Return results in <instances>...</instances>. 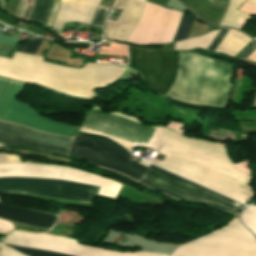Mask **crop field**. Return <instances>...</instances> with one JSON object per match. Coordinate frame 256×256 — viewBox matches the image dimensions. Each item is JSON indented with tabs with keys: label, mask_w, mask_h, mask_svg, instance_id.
<instances>
[{
	"label": "crop field",
	"mask_w": 256,
	"mask_h": 256,
	"mask_svg": "<svg viewBox=\"0 0 256 256\" xmlns=\"http://www.w3.org/2000/svg\"><path fill=\"white\" fill-rule=\"evenodd\" d=\"M83 126L104 130L116 136L132 141L136 143V145L147 147L157 130V128L142 127L137 121L124 118L119 115L103 114L96 107L88 116ZM85 127H82L81 131L105 135L106 137L118 142L131 152L134 143L104 131ZM164 135L168 136V140L181 143L233 166L230 163L223 146L183 137L176 134L170 128H158L155 136L163 138ZM156 137H153L152 141L160 143L161 139ZM168 140L165 145L172 146L247 179V173L239 171L203 153ZM153 142L150 143L149 148L156 150L158 144ZM165 145L159 150V153L165 155L166 157L163 158L162 161L154 159L151 161L152 163L214 191L231 197L241 203L251 197V192L246 184V179Z\"/></svg>",
	"instance_id": "crop-field-1"
},
{
	"label": "crop field",
	"mask_w": 256,
	"mask_h": 256,
	"mask_svg": "<svg viewBox=\"0 0 256 256\" xmlns=\"http://www.w3.org/2000/svg\"><path fill=\"white\" fill-rule=\"evenodd\" d=\"M129 67L140 72L157 91L174 97L186 52L129 47ZM231 88V66L195 53H186L175 99L224 107Z\"/></svg>",
	"instance_id": "crop-field-2"
},
{
	"label": "crop field",
	"mask_w": 256,
	"mask_h": 256,
	"mask_svg": "<svg viewBox=\"0 0 256 256\" xmlns=\"http://www.w3.org/2000/svg\"><path fill=\"white\" fill-rule=\"evenodd\" d=\"M70 155L85 158L99 166L114 169L132 179L146 183L177 198L215 206L234 214L242 204L201 186L186 181L143 161L136 163L132 155L118 144L101 136L77 132ZM76 157V158H77Z\"/></svg>",
	"instance_id": "crop-field-3"
},
{
	"label": "crop field",
	"mask_w": 256,
	"mask_h": 256,
	"mask_svg": "<svg viewBox=\"0 0 256 256\" xmlns=\"http://www.w3.org/2000/svg\"><path fill=\"white\" fill-rule=\"evenodd\" d=\"M124 70L98 64H85L82 69L63 68L44 63L40 57L16 52L12 59L0 57V76L83 98H92L96 89L116 80Z\"/></svg>",
	"instance_id": "crop-field-4"
},
{
	"label": "crop field",
	"mask_w": 256,
	"mask_h": 256,
	"mask_svg": "<svg viewBox=\"0 0 256 256\" xmlns=\"http://www.w3.org/2000/svg\"><path fill=\"white\" fill-rule=\"evenodd\" d=\"M170 256H256V240L232 218L227 226L179 246Z\"/></svg>",
	"instance_id": "crop-field-5"
},
{
	"label": "crop field",
	"mask_w": 256,
	"mask_h": 256,
	"mask_svg": "<svg viewBox=\"0 0 256 256\" xmlns=\"http://www.w3.org/2000/svg\"><path fill=\"white\" fill-rule=\"evenodd\" d=\"M8 238L2 243L5 245L21 246L29 248L48 249L76 256H165L150 253H123L105 249H99L76 241L56 235L32 234L14 230L9 233ZM9 246L27 256H71L48 250L28 249Z\"/></svg>",
	"instance_id": "crop-field-6"
},
{
	"label": "crop field",
	"mask_w": 256,
	"mask_h": 256,
	"mask_svg": "<svg viewBox=\"0 0 256 256\" xmlns=\"http://www.w3.org/2000/svg\"><path fill=\"white\" fill-rule=\"evenodd\" d=\"M0 177L54 179L99 186L98 195L116 198L120 184L102 177L62 166L27 163L0 164Z\"/></svg>",
	"instance_id": "crop-field-7"
},
{
	"label": "crop field",
	"mask_w": 256,
	"mask_h": 256,
	"mask_svg": "<svg viewBox=\"0 0 256 256\" xmlns=\"http://www.w3.org/2000/svg\"><path fill=\"white\" fill-rule=\"evenodd\" d=\"M25 83L0 77V118L74 137L77 127L53 123L16 99Z\"/></svg>",
	"instance_id": "crop-field-8"
},
{
	"label": "crop field",
	"mask_w": 256,
	"mask_h": 256,
	"mask_svg": "<svg viewBox=\"0 0 256 256\" xmlns=\"http://www.w3.org/2000/svg\"><path fill=\"white\" fill-rule=\"evenodd\" d=\"M0 132L16 135L20 137H25L29 139H34L38 141H43L47 143H52L60 146H65L69 148H71L72 142L74 140L72 138L36 131L24 126L12 124V123L1 121V120H0ZM3 133H0V143L2 144L44 150V151L62 154L66 156H68L70 152L69 148L51 145V144L29 140L25 138H20L16 136H11ZM17 161H20V158L15 154L0 153V162H17Z\"/></svg>",
	"instance_id": "crop-field-9"
},
{
	"label": "crop field",
	"mask_w": 256,
	"mask_h": 256,
	"mask_svg": "<svg viewBox=\"0 0 256 256\" xmlns=\"http://www.w3.org/2000/svg\"><path fill=\"white\" fill-rule=\"evenodd\" d=\"M96 187L42 179L0 178V192L52 196L90 202Z\"/></svg>",
	"instance_id": "crop-field-10"
},
{
	"label": "crop field",
	"mask_w": 256,
	"mask_h": 256,
	"mask_svg": "<svg viewBox=\"0 0 256 256\" xmlns=\"http://www.w3.org/2000/svg\"><path fill=\"white\" fill-rule=\"evenodd\" d=\"M145 0H120L116 10H122L117 21L107 22L106 37L126 41L143 11Z\"/></svg>",
	"instance_id": "crop-field-11"
},
{
	"label": "crop field",
	"mask_w": 256,
	"mask_h": 256,
	"mask_svg": "<svg viewBox=\"0 0 256 256\" xmlns=\"http://www.w3.org/2000/svg\"><path fill=\"white\" fill-rule=\"evenodd\" d=\"M100 0H61L52 27L60 30L63 23L77 21L89 23Z\"/></svg>",
	"instance_id": "crop-field-12"
},
{
	"label": "crop field",
	"mask_w": 256,
	"mask_h": 256,
	"mask_svg": "<svg viewBox=\"0 0 256 256\" xmlns=\"http://www.w3.org/2000/svg\"><path fill=\"white\" fill-rule=\"evenodd\" d=\"M0 210L9 212V213H13V214H17V215H21V216H25V217H30V218H34V219H38V220L51 222V223H53L57 217L55 215H51V214H47V213L36 212V211H31V210H26V209H21V208H15V207L5 206V205H1V204H0ZM2 211H0V218H4V219H7V220H10L13 222L43 227V228H47V229H49L52 226L51 223L38 221V220L30 219V218H25V217L13 215V214L5 213Z\"/></svg>",
	"instance_id": "crop-field-13"
},
{
	"label": "crop field",
	"mask_w": 256,
	"mask_h": 256,
	"mask_svg": "<svg viewBox=\"0 0 256 256\" xmlns=\"http://www.w3.org/2000/svg\"><path fill=\"white\" fill-rule=\"evenodd\" d=\"M251 40L252 39H250L248 36L238 31L229 29L225 38L222 40V42L217 46V48L214 51L224 53L233 57Z\"/></svg>",
	"instance_id": "crop-field-14"
},
{
	"label": "crop field",
	"mask_w": 256,
	"mask_h": 256,
	"mask_svg": "<svg viewBox=\"0 0 256 256\" xmlns=\"http://www.w3.org/2000/svg\"><path fill=\"white\" fill-rule=\"evenodd\" d=\"M244 0H230L228 9L220 25L232 26L239 29L243 21L249 16L235 11Z\"/></svg>",
	"instance_id": "crop-field-15"
},
{
	"label": "crop field",
	"mask_w": 256,
	"mask_h": 256,
	"mask_svg": "<svg viewBox=\"0 0 256 256\" xmlns=\"http://www.w3.org/2000/svg\"><path fill=\"white\" fill-rule=\"evenodd\" d=\"M217 33H218V30L209 32L208 34L200 37L177 42L174 46V50H190L194 47L207 49V47L213 41Z\"/></svg>",
	"instance_id": "crop-field-16"
},
{
	"label": "crop field",
	"mask_w": 256,
	"mask_h": 256,
	"mask_svg": "<svg viewBox=\"0 0 256 256\" xmlns=\"http://www.w3.org/2000/svg\"><path fill=\"white\" fill-rule=\"evenodd\" d=\"M52 0H35L27 20L39 21L45 24Z\"/></svg>",
	"instance_id": "crop-field-17"
},
{
	"label": "crop field",
	"mask_w": 256,
	"mask_h": 256,
	"mask_svg": "<svg viewBox=\"0 0 256 256\" xmlns=\"http://www.w3.org/2000/svg\"><path fill=\"white\" fill-rule=\"evenodd\" d=\"M193 21L194 19L183 14L182 21L174 41L186 39L188 37Z\"/></svg>",
	"instance_id": "crop-field-18"
},
{
	"label": "crop field",
	"mask_w": 256,
	"mask_h": 256,
	"mask_svg": "<svg viewBox=\"0 0 256 256\" xmlns=\"http://www.w3.org/2000/svg\"><path fill=\"white\" fill-rule=\"evenodd\" d=\"M109 9L108 8H104V7H98L90 25L92 26H97V27H101L103 26V22L105 20V17L108 13Z\"/></svg>",
	"instance_id": "crop-field-19"
},
{
	"label": "crop field",
	"mask_w": 256,
	"mask_h": 256,
	"mask_svg": "<svg viewBox=\"0 0 256 256\" xmlns=\"http://www.w3.org/2000/svg\"><path fill=\"white\" fill-rule=\"evenodd\" d=\"M41 41L40 38L33 39L32 42L20 46L19 51L34 55Z\"/></svg>",
	"instance_id": "crop-field-20"
},
{
	"label": "crop field",
	"mask_w": 256,
	"mask_h": 256,
	"mask_svg": "<svg viewBox=\"0 0 256 256\" xmlns=\"http://www.w3.org/2000/svg\"><path fill=\"white\" fill-rule=\"evenodd\" d=\"M256 49L255 44L251 41L245 46L234 58L243 61L248 55H250Z\"/></svg>",
	"instance_id": "crop-field-21"
},
{
	"label": "crop field",
	"mask_w": 256,
	"mask_h": 256,
	"mask_svg": "<svg viewBox=\"0 0 256 256\" xmlns=\"http://www.w3.org/2000/svg\"><path fill=\"white\" fill-rule=\"evenodd\" d=\"M228 29L222 28L217 36L215 37L214 41L211 43V45L208 47L207 51H213L215 47L220 43V41L224 38L225 34L227 33Z\"/></svg>",
	"instance_id": "crop-field-22"
},
{
	"label": "crop field",
	"mask_w": 256,
	"mask_h": 256,
	"mask_svg": "<svg viewBox=\"0 0 256 256\" xmlns=\"http://www.w3.org/2000/svg\"><path fill=\"white\" fill-rule=\"evenodd\" d=\"M0 256H24L0 244Z\"/></svg>",
	"instance_id": "crop-field-23"
},
{
	"label": "crop field",
	"mask_w": 256,
	"mask_h": 256,
	"mask_svg": "<svg viewBox=\"0 0 256 256\" xmlns=\"http://www.w3.org/2000/svg\"><path fill=\"white\" fill-rule=\"evenodd\" d=\"M0 21L16 28V24H15L16 19H14L2 12H0Z\"/></svg>",
	"instance_id": "crop-field-24"
},
{
	"label": "crop field",
	"mask_w": 256,
	"mask_h": 256,
	"mask_svg": "<svg viewBox=\"0 0 256 256\" xmlns=\"http://www.w3.org/2000/svg\"><path fill=\"white\" fill-rule=\"evenodd\" d=\"M0 227L13 230V226L10 223L3 220H0ZM7 232H10V230L0 228V233L5 234Z\"/></svg>",
	"instance_id": "crop-field-25"
},
{
	"label": "crop field",
	"mask_w": 256,
	"mask_h": 256,
	"mask_svg": "<svg viewBox=\"0 0 256 256\" xmlns=\"http://www.w3.org/2000/svg\"><path fill=\"white\" fill-rule=\"evenodd\" d=\"M246 3L256 6V0H248V1H246Z\"/></svg>",
	"instance_id": "crop-field-26"
},
{
	"label": "crop field",
	"mask_w": 256,
	"mask_h": 256,
	"mask_svg": "<svg viewBox=\"0 0 256 256\" xmlns=\"http://www.w3.org/2000/svg\"><path fill=\"white\" fill-rule=\"evenodd\" d=\"M253 107H256V98H255V102H254V106Z\"/></svg>",
	"instance_id": "crop-field-27"
},
{
	"label": "crop field",
	"mask_w": 256,
	"mask_h": 256,
	"mask_svg": "<svg viewBox=\"0 0 256 256\" xmlns=\"http://www.w3.org/2000/svg\"><path fill=\"white\" fill-rule=\"evenodd\" d=\"M256 40V38H254Z\"/></svg>",
	"instance_id": "crop-field-28"
},
{
	"label": "crop field",
	"mask_w": 256,
	"mask_h": 256,
	"mask_svg": "<svg viewBox=\"0 0 256 256\" xmlns=\"http://www.w3.org/2000/svg\"><path fill=\"white\" fill-rule=\"evenodd\" d=\"M181 1H183V0H181Z\"/></svg>",
	"instance_id": "crop-field-29"
}]
</instances>
